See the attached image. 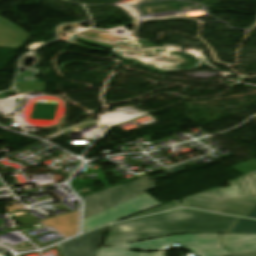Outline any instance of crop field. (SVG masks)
Wrapping results in <instances>:
<instances>
[{
    "label": "crop field",
    "instance_id": "8a807250",
    "mask_svg": "<svg viewBox=\"0 0 256 256\" xmlns=\"http://www.w3.org/2000/svg\"><path fill=\"white\" fill-rule=\"evenodd\" d=\"M238 220L220 214L178 210L113 224L104 246L179 233H230Z\"/></svg>",
    "mask_w": 256,
    "mask_h": 256
},
{
    "label": "crop field",
    "instance_id": "ac0d7876",
    "mask_svg": "<svg viewBox=\"0 0 256 256\" xmlns=\"http://www.w3.org/2000/svg\"><path fill=\"white\" fill-rule=\"evenodd\" d=\"M172 244H182L197 256H222L256 250V235L244 234H184L116 245L142 251L162 250Z\"/></svg>",
    "mask_w": 256,
    "mask_h": 256
},
{
    "label": "crop field",
    "instance_id": "34b2d1b8",
    "mask_svg": "<svg viewBox=\"0 0 256 256\" xmlns=\"http://www.w3.org/2000/svg\"><path fill=\"white\" fill-rule=\"evenodd\" d=\"M228 184L230 188L210 190L183 199V205L246 217L256 205V172Z\"/></svg>",
    "mask_w": 256,
    "mask_h": 256
},
{
    "label": "crop field",
    "instance_id": "412701ff",
    "mask_svg": "<svg viewBox=\"0 0 256 256\" xmlns=\"http://www.w3.org/2000/svg\"><path fill=\"white\" fill-rule=\"evenodd\" d=\"M186 171V169L180 165L168 170H165L167 175L175 174L178 172ZM165 175V176H167ZM164 177V176H161ZM160 178V177H158ZM151 177L147 176L117 187H113L86 197H83L85 204L84 218L125 202L141 193L154 189V178L150 182ZM157 180V179H156Z\"/></svg>",
    "mask_w": 256,
    "mask_h": 256
},
{
    "label": "crop field",
    "instance_id": "f4fd0767",
    "mask_svg": "<svg viewBox=\"0 0 256 256\" xmlns=\"http://www.w3.org/2000/svg\"><path fill=\"white\" fill-rule=\"evenodd\" d=\"M158 205L161 204L148 194H141L125 203L117 205L119 208L112 207L84 219L83 231L90 230L106 223L119 221Z\"/></svg>",
    "mask_w": 256,
    "mask_h": 256
},
{
    "label": "crop field",
    "instance_id": "dd49c442",
    "mask_svg": "<svg viewBox=\"0 0 256 256\" xmlns=\"http://www.w3.org/2000/svg\"><path fill=\"white\" fill-rule=\"evenodd\" d=\"M107 226L58 245L64 256H95ZM100 247V246H99Z\"/></svg>",
    "mask_w": 256,
    "mask_h": 256
},
{
    "label": "crop field",
    "instance_id": "e52e79f7",
    "mask_svg": "<svg viewBox=\"0 0 256 256\" xmlns=\"http://www.w3.org/2000/svg\"><path fill=\"white\" fill-rule=\"evenodd\" d=\"M28 33L0 17V46L19 49L30 37Z\"/></svg>",
    "mask_w": 256,
    "mask_h": 256
},
{
    "label": "crop field",
    "instance_id": "d8731c3e",
    "mask_svg": "<svg viewBox=\"0 0 256 256\" xmlns=\"http://www.w3.org/2000/svg\"><path fill=\"white\" fill-rule=\"evenodd\" d=\"M165 252H157L151 254L131 252L121 248H100L97 256H164Z\"/></svg>",
    "mask_w": 256,
    "mask_h": 256
},
{
    "label": "crop field",
    "instance_id": "5a996713",
    "mask_svg": "<svg viewBox=\"0 0 256 256\" xmlns=\"http://www.w3.org/2000/svg\"><path fill=\"white\" fill-rule=\"evenodd\" d=\"M231 233L256 234V221L240 218Z\"/></svg>",
    "mask_w": 256,
    "mask_h": 256
},
{
    "label": "crop field",
    "instance_id": "3316defc",
    "mask_svg": "<svg viewBox=\"0 0 256 256\" xmlns=\"http://www.w3.org/2000/svg\"><path fill=\"white\" fill-rule=\"evenodd\" d=\"M230 169L244 175L256 171V159H250L240 164L229 167Z\"/></svg>",
    "mask_w": 256,
    "mask_h": 256
},
{
    "label": "crop field",
    "instance_id": "28ad6ade",
    "mask_svg": "<svg viewBox=\"0 0 256 256\" xmlns=\"http://www.w3.org/2000/svg\"><path fill=\"white\" fill-rule=\"evenodd\" d=\"M177 207H182L181 204L177 201L165 204V205H161L158 206L156 208L150 209L148 211L142 212L140 214L134 215L130 218H135V217H139V216H144V215H149V214H154V213H158V212H162V211H167V210H171L173 208H177ZM128 218V219H130Z\"/></svg>",
    "mask_w": 256,
    "mask_h": 256
},
{
    "label": "crop field",
    "instance_id": "d1516ede",
    "mask_svg": "<svg viewBox=\"0 0 256 256\" xmlns=\"http://www.w3.org/2000/svg\"><path fill=\"white\" fill-rule=\"evenodd\" d=\"M228 256H256V251L248 252V253L235 254V255H228Z\"/></svg>",
    "mask_w": 256,
    "mask_h": 256
},
{
    "label": "crop field",
    "instance_id": "22f410ed",
    "mask_svg": "<svg viewBox=\"0 0 256 256\" xmlns=\"http://www.w3.org/2000/svg\"><path fill=\"white\" fill-rule=\"evenodd\" d=\"M247 217L256 219V207L248 214Z\"/></svg>",
    "mask_w": 256,
    "mask_h": 256
},
{
    "label": "crop field",
    "instance_id": "cbeb9de0",
    "mask_svg": "<svg viewBox=\"0 0 256 256\" xmlns=\"http://www.w3.org/2000/svg\"><path fill=\"white\" fill-rule=\"evenodd\" d=\"M0 250H6L5 248H3V247H0Z\"/></svg>",
    "mask_w": 256,
    "mask_h": 256
}]
</instances>
